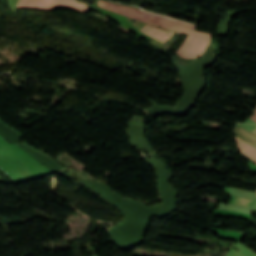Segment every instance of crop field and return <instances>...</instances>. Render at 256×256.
Listing matches in <instances>:
<instances>
[{
    "label": "crop field",
    "instance_id": "crop-field-1",
    "mask_svg": "<svg viewBox=\"0 0 256 256\" xmlns=\"http://www.w3.org/2000/svg\"><path fill=\"white\" fill-rule=\"evenodd\" d=\"M99 6L125 15L130 18L142 20L151 24H155L170 30H177L190 34L183 45L176 52L187 58L198 57L203 54L209 44V34L192 31L193 25L156 15L143 10H137L105 1H99Z\"/></svg>",
    "mask_w": 256,
    "mask_h": 256
},
{
    "label": "crop field",
    "instance_id": "crop-field-2",
    "mask_svg": "<svg viewBox=\"0 0 256 256\" xmlns=\"http://www.w3.org/2000/svg\"><path fill=\"white\" fill-rule=\"evenodd\" d=\"M59 0H20L16 8L52 10Z\"/></svg>",
    "mask_w": 256,
    "mask_h": 256
},
{
    "label": "crop field",
    "instance_id": "crop-field-3",
    "mask_svg": "<svg viewBox=\"0 0 256 256\" xmlns=\"http://www.w3.org/2000/svg\"><path fill=\"white\" fill-rule=\"evenodd\" d=\"M237 146L241 152H243L245 155H247L249 158H251L256 163V148L249 145L248 143L240 140L238 137H234Z\"/></svg>",
    "mask_w": 256,
    "mask_h": 256
},
{
    "label": "crop field",
    "instance_id": "crop-field-4",
    "mask_svg": "<svg viewBox=\"0 0 256 256\" xmlns=\"http://www.w3.org/2000/svg\"><path fill=\"white\" fill-rule=\"evenodd\" d=\"M234 132L240 136L242 139H244L246 142L250 143L254 147H256V135L251 133L250 131L235 125ZM239 137V138H240Z\"/></svg>",
    "mask_w": 256,
    "mask_h": 256
},
{
    "label": "crop field",
    "instance_id": "crop-field-5",
    "mask_svg": "<svg viewBox=\"0 0 256 256\" xmlns=\"http://www.w3.org/2000/svg\"><path fill=\"white\" fill-rule=\"evenodd\" d=\"M234 246H236L239 250L240 253L234 251L231 249V251L228 253L227 256H256V253H254L252 250L247 248L246 246L242 245L241 243H237Z\"/></svg>",
    "mask_w": 256,
    "mask_h": 256
},
{
    "label": "crop field",
    "instance_id": "crop-field-6",
    "mask_svg": "<svg viewBox=\"0 0 256 256\" xmlns=\"http://www.w3.org/2000/svg\"><path fill=\"white\" fill-rule=\"evenodd\" d=\"M230 195H235V196H239V197H243V198H247V199H252V200L255 199V194L254 193L239 190V189H233V188H231Z\"/></svg>",
    "mask_w": 256,
    "mask_h": 256
},
{
    "label": "crop field",
    "instance_id": "crop-field-7",
    "mask_svg": "<svg viewBox=\"0 0 256 256\" xmlns=\"http://www.w3.org/2000/svg\"><path fill=\"white\" fill-rule=\"evenodd\" d=\"M219 209L232 210V211H237V212H242V213L249 214V208L240 207V206H234V205H229V204L221 203Z\"/></svg>",
    "mask_w": 256,
    "mask_h": 256
},
{
    "label": "crop field",
    "instance_id": "crop-field-8",
    "mask_svg": "<svg viewBox=\"0 0 256 256\" xmlns=\"http://www.w3.org/2000/svg\"><path fill=\"white\" fill-rule=\"evenodd\" d=\"M252 202L253 201H251V200H246V199H241V198L234 197V200H233L232 204L249 207Z\"/></svg>",
    "mask_w": 256,
    "mask_h": 256
},
{
    "label": "crop field",
    "instance_id": "crop-field-9",
    "mask_svg": "<svg viewBox=\"0 0 256 256\" xmlns=\"http://www.w3.org/2000/svg\"><path fill=\"white\" fill-rule=\"evenodd\" d=\"M253 112H255V113H256V110H254ZM249 118H251L253 121H255V122H256V114H255V115H253V116H251V117H249Z\"/></svg>",
    "mask_w": 256,
    "mask_h": 256
},
{
    "label": "crop field",
    "instance_id": "crop-field-10",
    "mask_svg": "<svg viewBox=\"0 0 256 256\" xmlns=\"http://www.w3.org/2000/svg\"><path fill=\"white\" fill-rule=\"evenodd\" d=\"M251 209L254 210V211H256V201L253 203Z\"/></svg>",
    "mask_w": 256,
    "mask_h": 256
},
{
    "label": "crop field",
    "instance_id": "crop-field-11",
    "mask_svg": "<svg viewBox=\"0 0 256 256\" xmlns=\"http://www.w3.org/2000/svg\"><path fill=\"white\" fill-rule=\"evenodd\" d=\"M251 132H253V133H255V134H256V128H255L253 131H251Z\"/></svg>",
    "mask_w": 256,
    "mask_h": 256
}]
</instances>
